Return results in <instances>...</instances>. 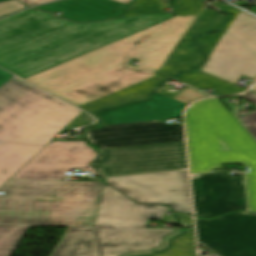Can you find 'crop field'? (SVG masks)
<instances>
[{"mask_svg": "<svg viewBox=\"0 0 256 256\" xmlns=\"http://www.w3.org/2000/svg\"><path fill=\"white\" fill-rule=\"evenodd\" d=\"M97 154L85 142H60L48 144L12 178L61 179L66 171L80 168L81 171H95L88 163ZM84 168H89L85 170Z\"/></svg>", "mask_w": 256, "mask_h": 256, "instance_id": "crop-field-12", "label": "crop field"}, {"mask_svg": "<svg viewBox=\"0 0 256 256\" xmlns=\"http://www.w3.org/2000/svg\"><path fill=\"white\" fill-rule=\"evenodd\" d=\"M21 2L25 3L28 6L39 4V3H45L53 0H20Z\"/></svg>", "mask_w": 256, "mask_h": 256, "instance_id": "crop-field-29", "label": "crop field"}, {"mask_svg": "<svg viewBox=\"0 0 256 256\" xmlns=\"http://www.w3.org/2000/svg\"><path fill=\"white\" fill-rule=\"evenodd\" d=\"M177 219L184 227H193L192 219L186 215H177Z\"/></svg>", "mask_w": 256, "mask_h": 256, "instance_id": "crop-field-27", "label": "crop field"}, {"mask_svg": "<svg viewBox=\"0 0 256 256\" xmlns=\"http://www.w3.org/2000/svg\"><path fill=\"white\" fill-rule=\"evenodd\" d=\"M176 17L139 33L25 78L94 114L143 100L129 85L157 70L201 8L174 6Z\"/></svg>", "mask_w": 256, "mask_h": 256, "instance_id": "crop-field-1", "label": "crop field"}, {"mask_svg": "<svg viewBox=\"0 0 256 256\" xmlns=\"http://www.w3.org/2000/svg\"><path fill=\"white\" fill-rule=\"evenodd\" d=\"M89 142L102 149L184 141L182 125L132 123L87 130Z\"/></svg>", "mask_w": 256, "mask_h": 256, "instance_id": "crop-field-13", "label": "crop field"}, {"mask_svg": "<svg viewBox=\"0 0 256 256\" xmlns=\"http://www.w3.org/2000/svg\"><path fill=\"white\" fill-rule=\"evenodd\" d=\"M165 206L135 204L116 190L104 185L94 226L145 228L147 219L176 223L174 214L162 216Z\"/></svg>", "mask_w": 256, "mask_h": 256, "instance_id": "crop-field-14", "label": "crop field"}, {"mask_svg": "<svg viewBox=\"0 0 256 256\" xmlns=\"http://www.w3.org/2000/svg\"><path fill=\"white\" fill-rule=\"evenodd\" d=\"M185 234L173 239L170 249L153 256H196L193 230H184Z\"/></svg>", "mask_w": 256, "mask_h": 256, "instance_id": "crop-field-18", "label": "crop field"}, {"mask_svg": "<svg viewBox=\"0 0 256 256\" xmlns=\"http://www.w3.org/2000/svg\"><path fill=\"white\" fill-rule=\"evenodd\" d=\"M254 92H256V82L254 83L253 87L251 88Z\"/></svg>", "mask_w": 256, "mask_h": 256, "instance_id": "crop-field-32", "label": "crop field"}, {"mask_svg": "<svg viewBox=\"0 0 256 256\" xmlns=\"http://www.w3.org/2000/svg\"><path fill=\"white\" fill-rule=\"evenodd\" d=\"M209 5H214L216 6V9L218 10H221V11H228L230 13L233 14L232 18L230 21H228L223 30L221 32H215V33H211L209 35H206V36H199L197 38H195L196 42L200 44L203 52L205 53L206 55V58L204 60V62L206 61V59L208 58L211 50L213 49V47L216 45V43L219 41V39L221 38V36L224 34V32L226 31V29L229 27V25L231 24V22L233 21V19L236 17V15L242 11L230 6V5H227L219 0H217L216 2H211L209 3ZM204 62L199 65L196 70L200 71V68L202 67V65L204 64Z\"/></svg>", "mask_w": 256, "mask_h": 256, "instance_id": "crop-field-17", "label": "crop field"}, {"mask_svg": "<svg viewBox=\"0 0 256 256\" xmlns=\"http://www.w3.org/2000/svg\"><path fill=\"white\" fill-rule=\"evenodd\" d=\"M128 5L112 0H64L35 7L51 12L62 10L63 18L74 21L104 20L109 17H119Z\"/></svg>", "mask_w": 256, "mask_h": 256, "instance_id": "crop-field-16", "label": "crop field"}, {"mask_svg": "<svg viewBox=\"0 0 256 256\" xmlns=\"http://www.w3.org/2000/svg\"><path fill=\"white\" fill-rule=\"evenodd\" d=\"M174 5L204 7L202 3L197 0H174Z\"/></svg>", "mask_w": 256, "mask_h": 256, "instance_id": "crop-field-26", "label": "crop field"}, {"mask_svg": "<svg viewBox=\"0 0 256 256\" xmlns=\"http://www.w3.org/2000/svg\"><path fill=\"white\" fill-rule=\"evenodd\" d=\"M206 256H217V255H215V254H210V255H206Z\"/></svg>", "mask_w": 256, "mask_h": 256, "instance_id": "crop-field-33", "label": "crop field"}, {"mask_svg": "<svg viewBox=\"0 0 256 256\" xmlns=\"http://www.w3.org/2000/svg\"><path fill=\"white\" fill-rule=\"evenodd\" d=\"M145 13H161L159 0H135L125 16Z\"/></svg>", "mask_w": 256, "mask_h": 256, "instance_id": "crop-field-20", "label": "crop field"}, {"mask_svg": "<svg viewBox=\"0 0 256 256\" xmlns=\"http://www.w3.org/2000/svg\"><path fill=\"white\" fill-rule=\"evenodd\" d=\"M202 75H204V74L194 70V71H190V72H185V73H183L181 75H178V76H175V77H172V78H175V79L185 83L187 81H190V80H192L194 78H197L199 76H202Z\"/></svg>", "mask_w": 256, "mask_h": 256, "instance_id": "crop-field-24", "label": "crop field"}, {"mask_svg": "<svg viewBox=\"0 0 256 256\" xmlns=\"http://www.w3.org/2000/svg\"><path fill=\"white\" fill-rule=\"evenodd\" d=\"M20 8H24V6L16 0L0 3V16L6 15Z\"/></svg>", "mask_w": 256, "mask_h": 256, "instance_id": "crop-field-23", "label": "crop field"}, {"mask_svg": "<svg viewBox=\"0 0 256 256\" xmlns=\"http://www.w3.org/2000/svg\"><path fill=\"white\" fill-rule=\"evenodd\" d=\"M185 84H187L191 87H194L198 90L214 87V88H216L217 92L221 95L238 93V92L245 90V89L236 87L234 85L222 82L216 78H211L207 75L199 77V78L192 80L190 82H187Z\"/></svg>", "mask_w": 256, "mask_h": 256, "instance_id": "crop-field-19", "label": "crop field"}, {"mask_svg": "<svg viewBox=\"0 0 256 256\" xmlns=\"http://www.w3.org/2000/svg\"><path fill=\"white\" fill-rule=\"evenodd\" d=\"M97 152L100 156L91 165L101 177L187 168L184 142Z\"/></svg>", "mask_w": 256, "mask_h": 256, "instance_id": "crop-field-8", "label": "crop field"}, {"mask_svg": "<svg viewBox=\"0 0 256 256\" xmlns=\"http://www.w3.org/2000/svg\"><path fill=\"white\" fill-rule=\"evenodd\" d=\"M201 70L234 84L242 74L254 79L256 18L244 12L238 14Z\"/></svg>", "mask_w": 256, "mask_h": 256, "instance_id": "crop-field-7", "label": "crop field"}, {"mask_svg": "<svg viewBox=\"0 0 256 256\" xmlns=\"http://www.w3.org/2000/svg\"><path fill=\"white\" fill-rule=\"evenodd\" d=\"M242 97L252 101L256 104V94L249 91V93L243 95ZM243 124L249 130V132L255 137L256 139V111L240 117Z\"/></svg>", "mask_w": 256, "mask_h": 256, "instance_id": "crop-field-21", "label": "crop field"}, {"mask_svg": "<svg viewBox=\"0 0 256 256\" xmlns=\"http://www.w3.org/2000/svg\"><path fill=\"white\" fill-rule=\"evenodd\" d=\"M105 182L137 202L168 204L175 212L191 214L187 171L110 178Z\"/></svg>", "mask_w": 256, "mask_h": 256, "instance_id": "crop-field-10", "label": "crop field"}, {"mask_svg": "<svg viewBox=\"0 0 256 256\" xmlns=\"http://www.w3.org/2000/svg\"><path fill=\"white\" fill-rule=\"evenodd\" d=\"M181 233V229L67 227L50 256L153 254L169 246L171 237Z\"/></svg>", "mask_w": 256, "mask_h": 256, "instance_id": "crop-field-6", "label": "crop field"}, {"mask_svg": "<svg viewBox=\"0 0 256 256\" xmlns=\"http://www.w3.org/2000/svg\"><path fill=\"white\" fill-rule=\"evenodd\" d=\"M104 183L11 180L0 191V256L29 226H93ZM19 245V244H18Z\"/></svg>", "mask_w": 256, "mask_h": 256, "instance_id": "crop-field-3", "label": "crop field"}, {"mask_svg": "<svg viewBox=\"0 0 256 256\" xmlns=\"http://www.w3.org/2000/svg\"><path fill=\"white\" fill-rule=\"evenodd\" d=\"M115 1L122 2V3L127 4V3H129L131 0H115Z\"/></svg>", "mask_w": 256, "mask_h": 256, "instance_id": "crop-field-31", "label": "crop field"}, {"mask_svg": "<svg viewBox=\"0 0 256 256\" xmlns=\"http://www.w3.org/2000/svg\"><path fill=\"white\" fill-rule=\"evenodd\" d=\"M173 16L146 14L74 24L27 9L0 20V66L25 78Z\"/></svg>", "mask_w": 256, "mask_h": 256, "instance_id": "crop-field-2", "label": "crop field"}, {"mask_svg": "<svg viewBox=\"0 0 256 256\" xmlns=\"http://www.w3.org/2000/svg\"><path fill=\"white\" fill-rule=\"evenodd\" d=\"M198 244L219 256H256V213L196 218Z\"/></svg>", "mask_w": 256, "mask_h": 256, "instance_id": "crop-field-9", "label": "crop field"}, {"mask_svg": "<svg viewBox=\"0 0 256 256\" xmlns=\"http://www.w3.org/2000/svg\"><path fill=\"white\" fill-rule=\"evenodd\" d=\"M4 1H8V0H0V2H4Z\"/></svg>", "mask_w": 256, "mask_h": 256, "instance_id": "crop-field-34", "label": "crop field"}, {"mask_svg": "<svg viewBox=\"0 0 256 256\" xmlns=\"http://www.w3.org/2000/svg\"><path fill=\"white\" fill-rule=\"evenodd\" d=\"M12 77H13V75L0 69V86Z\"/></svg>", "mask_w": 256, "mask_h": 256, "instance_id": "crop-field-28", "label": "crop field"}, {"mask_svg": "<svg viewBox=\"0 0 256 256\" xmlns=\"http://www.w3.org/2000/svg\"><path fill=\"white\" fill-rule=\"evenodd\" d=\"M81 112L20 80L2 86L0 187Z\"/></svg>", "mask_w": 256, "mask_h": 256, "instance_id": "crop-field-4", "label": "crop field"}, {"mask_svg": "<svg viewBox=\"0 0 256 256\" xmlns=\"http://www.w3.org/2000/svg\"><path fill=\"white\" fill-rule=\"evenodd\" d=\"M223 105V104H222ZM216 99L191 105L185 114L191 174L222 164L242 163L247 176L250 211H256V142Z\"/></svg>", "mask_w": 256, "mask_h": 256, "instance_id": "crop-field-5", "label": "crop field"}, {"mask_svg": "<svg viewBox=\"0 0 256 256\" xmlns=\"http://www.w3.org/2000/svg\"><path fill=\"white\" fill-rule=\"evenodd\" d=\"M167 77L160 74V73H153L139 81H137L136 83L143 85L147 88H150L152 90L156 89Z\"/></svg>", "mask_w": 256, "mask_h": 256, "instance_id": "crop-field-22", "label": "crop field"}, {"mask_svg": "<svg viewBox=\"0 0 256 256\" xmlns=\"http://www.w3.org/2000/svg\"><path fill=\"white\" fill-rule=\"evenodd\" d=\"M249 11H251V12H253V13L256 14V5L253 6V7H251V8L249 9Z\"/></svg>", "mask_w": 256, "mask_h": 256, "instance_id": "crop-field-30", "label": "crop field"}, {"mask_svg": "<svg viewBox=\"0 0 256 256\" xmlns=\"http://www.w3.org/2000/svg\"><path fill=\"white\" fill-rule=\"evenodd\" d=\"M223 20L224 18L221 13L206 7L202 8L158 71L169 75L193 68L202 59V55L191 40L192 37L202 32L217 29V26Z\"/></svg>", "mask_w": 256, "mask_h": 256, "instance_id": "crop-field-15", "label": "crop field"}, {"mask_svg": "<svg viewBox=\"0 0 256 256\" xmlns=\"http://www.w3.org/2000/svg\"><path fill=\"white\" fill-rule=\"evenodd\" d=\"M192 179L195 215L213 218L243 210L246 204L243 176H229L226 172L200 175Z\"/></svg>", "mask_w": 256, "mask_h": 256, "instance_id": "crop-field-11", "label": "crop field"}, {"mask_svg": "<svg viewBox=\"0 0 256 256\" xmlns=\"http://www.w3.org/2000/svg\"><path fill=\"white\" fill-rule=\"evenodd\" d=\"M137 92L138 94L145 100V99H148L149 98V95L151 93L152 90L150 89H147L143 86H140L138 84H132L131 85ZM153 92V91H152Z\"/></svg>", "mask_w": 256, "mask_h": 256, "instance_id": "crop-field-25", "label": "crop field"}]
</instances>
